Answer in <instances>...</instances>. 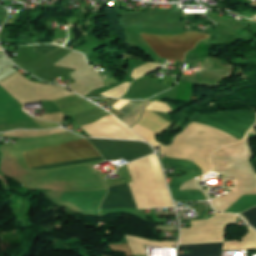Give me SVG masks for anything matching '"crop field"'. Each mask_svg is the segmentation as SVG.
Wrapping results in <instances>:
<instances>
[{
  "label": "crop field",
  "instance_id": "2",
  "mask_svg": "<svg viewBox=\"0 0 256 256\" xmlns=\"http://www.w3.org/2000/svg\"><path fill=\"white\" fill-rule=\"evenodd\" d=\"M254 122V113L234 111L199 115L191 125L214 129L237 142L244 137Z\"/></svg>",
  "mask_w": 256,
  "mask_h": 256
},
{
  "label": "crop field",
  "instance_id": "6",
  "mask_svg": "<svg viewBox=\"0 0 256 256\" xmlns=\"http://www.w3.org/2000/svg\"><path fill=\"white\" fill-rule=\"evenodd\" d=\"M223 243H207L179 246L178 250H193V255L178 256H220Z\"/></svg>",
  "mask_w": 256,
  "mask_h": 256
},
{
  "label": "crop field",
  "instance_id": "1",
  "mask_svg": "<svg viewBox=\"0 0 256 256\" xmlns=\"http://www.w3.org/2000/svg\"><path fill=\"white\" fill-rule=\"evenodd\" d=\"M22 153L29 168L99 155L97 151L91 146V144L85 140H76L44 148L24 151ZM100 159H102L101 156L92 157L65 163L31 168L30 171L60 167Z\"/></svg>",
  "mask_w": 256,
  "mask_h": 256
},
{
  "label": "crop field",
  "instance_id": "5",
  "mask_svg": "<svg viewBox=\"0 0 256 256\" xmlns=\"http://www.w3.org/2000/svg\"><path fill=\"white\" fill-rule=\"evenodd\" d=\"M128 185L124 184L109 188V192L103 200L100 210L127 207L136 208L134 200L131 195L132 192L130 193L131 189L129 190Z\"/></svg>",
  "mask_w": 256,
  "mask_h": 256
},
{
  "label": "crop field",
  "instance_id": "7",
  "mask_svg": "<svg viewBox=\"0 0 256 256\" xmlns=\"http://www.w3.org/2000/svg\"><path fill=\"white\" fill-rule=\"evenodd\" d=\"M241 214H243L247 218L249 224L252 227L256 228V207L251 208V209H249L246 212L241 213Z\"/></svg>",
  "mask_w": 256,
  "mask_h": 256
},
{
  "label": "crop field",
  "instance_id": "3",
  "mask_svg": "<svg viewBox=\"0 0 256 256\" xmlns=\"http://www.w3.org/2000/svg\"><path fill=\"white\" fill-rule=\"evenodd\" d=\"M87 139V138H86ZM105 160L125 159L130 162L153 153L151 147L142 142L87 139Z\"/></svg>",
  "mask_w": 256,
  "mask_h": 256
},
{
  "label": "crop field",
  "instance_id": "4",
  "mask_svg": "<svg viewBox=\"0 0 256 256\" xmlns=\"http://www.w3.org/2000/svg\"><path fill=\"white\" fill-rule=\"evenodd\" d=\"M161 162L171 164L186 175L173 178L170 185L173 199L178 202L188 201V200H204L205 197L200 190H189V191H179V186L187 180H190L200 174H202L201 169L194 163L188 162L186 160L170 159L165 157Z\"/></svg>",
  "mask_w": 256,
  "mask_h": 256
}]
</instances>
